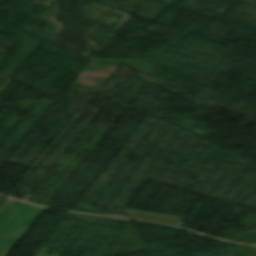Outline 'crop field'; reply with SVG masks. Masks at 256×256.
<instances>
[{
    "label": "crop field",
    "mask_w": 256,
    "mask_h": 256,
    "mask_svg": "<svg viewBox=\"0 0 256 256\" xmlns=\"http://www.w3.org/2000/svg\"><path fill=\"white\" fill-rule=\"evenodd\" d=\"M44 208L23 203L0 231V256H7Z\"/></svg>",
    "instance_id": "1"
},
{
    "label": "crop field",
    "mask_w": 256,
    "mask_h": 256,
    "mask_svg": "<svg viewBox=\"0 0 256 256\" xmlns=\"http://www.w3.org/2000/svg\"><path fill=\"white\" fill-rule=\"evenodd\" d=\"M125 211L128 217H131V218L157 221V222H163V223H169V224H175V225H179L183 219L179 217H171V216H165V215H159V214H153V213H147V212H141V211H135V210H129V209H126Z\"/></svg>",
    "instance_id": "2"
},
{
    "label": "crop field",
    "mask_w": 256,
    "mask_h": 256,
    "mask_svg": "<svg viewBox=\"0 0 256 256\" xmlns=\"http://www.w3.org/2000/svg\"><path fill=\"white\" fill-rule=\"evenodd\" d=\"M22 202L15 201L10 199V201L6 204V206L0 212V230L7 223L10 217L15 213L18 209L19 205Z\"/></svg>",
    "instance_id": "3"
}]
</instances>
